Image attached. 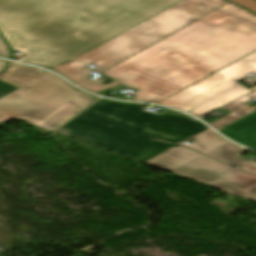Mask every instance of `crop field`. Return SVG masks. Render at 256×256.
<instances>
[{
	"label": "crop field",
	"mask_w": 256,
	"mask_h": 256,
	"mask_svg": "<svg viewBox=\"0 0 256 256\" xmlns=\"http://www.w3.org/2000/svg\"><path fill=\"white\" fill-rule=\"evenodd\" d=\"M182 0H0V32L21 61H72Z\"/></svg>",
	"instance_id": "obj_1"
},
{
	"label": "crop field",
	"mask_w": 256,
	"mask_h": 256,
	"mask_svg": "<svg viewBox=\"0 0 256 256\" xmlns=\"http://www.w3.org/2000/svg\"><path fill=\"white\" fill-rule=\"evenodd\" d=\"M254 50L256 15L230 2L103 74L156 103Z\"/></svg>",
	"instance_id": "obj_2"
},
{
	"label": "crop field",
	"mask_w": 256,
	"mask_h": 256,
	"mask_svg": "<svg viewBox=\"0 0 256 256\" xmlns=\"http://www.w3.org/2000/svg\"><path fill=\"white\" fill-rule=\"evenodd\" d=\"M206 129L172 111L156 115L142 105L101 100L56 132L143 162Z\"/></svg>",
	"instance_id": "obj_3"
},
{
	"label": "crop field",
	"mask_w": 256,
	"mask_h": 256,
	"mask_svg": "<svg viewBox=\"0 0 256 256\" xmlns=\"http://www.w3.org/2000/svg\"><path fill=\"white\" fill-rule=\"evenodd\" d=\"M9 65L0 80L19 89L0 99V127L19 119L47 135L95 100L53 74L26 65Z\"/></svg>",
	"instance_id": "obj_4"
},
{
	"label": "crop field",
	"mask_w": 256,
	"mask_h": 256,
	"mask_svg": "<svg viewBox=\"0 0 256 256\" xmlns=\"http://www.w3.org/2000/svg\"><path fill=\"white\" fill-rule=\"evenodd\" d=\"M227 0H184L120 36L90 50L78 59L50 68L76 85L91 81L92 72L86 66L93 64L96 72H104L117 63L150 47L187 24L205 16Z\"/></svg>",
	"instance_id": "obj_5"
},
{
	"label": "crop field",
	"mask_w": 256,
	"mask_h": 256,
	"mask_svg": "<svg viewBox=\"0 0 256 256\" xmlns=\"http://www.w3.org/2000/svg\"><path fill=\"white\" fill-rule=\"evenodd\" d=\"M247 72L256 73V51L157 104L174 107L187 112L219 93L239 84L236 81L247 75L245 74ZM254 82L256 83V81ZM254 89L256 87L248 90L240 84L189 113L200 117Z\"/></svg>",
	"instance_id": "obj_6"
},
{
	"label": "crop field",
	"mask_w": 256,
	"mask_h": 256,
	"mask_svg": "<svg viewBox=\"0 0 256 256\" xmlns=\"http://www.w3.org/2000/svg\"><path fill=\"white\" fill-rule=\"evenodd\" d=\"M171 172L256 202V175L241 172L204 155Z\"/></svg>",
	"instance_id": "obj_7"
},
{
	"label": "crop field",
	"mask_w": 256,
	"mask_h": 256,
	"mask_svg": "<svg viewBox=\"0 0 256 256\" xmlns=\"http://www.w3.org/2000/svg\"><path fill=\"white\" fill-rule=\"evenodd\" d=\"M226 137L256 149V112L220 130Z\"/></svg>",
	"instance_id": "obj_8"
},
{
	"label": "crop field",
	"mask_w": 256,
	"mask_h": 256,
	"mask_svg": "<svg viewBox=\"0 0 256 256\" xmlns=\"http://www.w3.org/2000/svg\"><path fill=\"white\" fill-rule=\"evenodd\" d=\"M181 146L185 144L181 143ZM202 154L188 150L183 147L172 148L163 154L157 156L156 158L147 161V164L158 167L160 169L170 171Z\"/></svg>",
	"instance_id": "obj_9"
},
{
	"label": "crop field",
	"mask_w": 256,
	"mask_h": 256,
	"mask_svg": "<svg viewBox=\"0 0 256 256\" xmlns=\"http://www.w3.org/2000/svg\"><path fill=\"white\" fill-rule=\"evenodd\" d=\"M250 99H255L256 100V90L221 107L229 112H232L212 123H210L212 126H214L215 128L219 129L253 111H255V109L247 106L246 104H244L245 102H247Z\"/></svg>",
	"instance_id": "obj_10"
},
{
	"label": "crop field",
	"mask_w": 256,
	"mask_h": 256,
	"mask_svg": "<svg viewBox=\"0 0 256 256\" xmlns=\"http://www.w3.org/2000/svg\"><path fill=\"white\" fill-rule=\"evenodd\" d=\"M245 149H241L232 143H226L204 155L209 156L219 162L231 165V166H238L245 160L237 158L242 153H244Z\"/></svg>",
	"instance_id": "obj_11"
},
{
	"label": "crop field",
	"mask_w": 256,
	"mask_h": 256,
	"mask_svg": "<svg viewBox=\"0 0 256 256\" xmlns=\"http://www.w3.org/2000/svg\"><path fill=\"white\" fill-rule=\"evenodd\" d=\"M226 142L227 141L221 139L216 134L208 130L195 137L193 142L185 147L204 154Z\"/></svg>",
	"instance_id": "obj_12"
},
{
	"label": "crop field",
	"mask_w": 256,
	"mask_h": 256,
	"mask_svg": "<svg viewBox=\"0 0 256 256\" xmlns=\"http://www.w3.org/2000/svg\"><path fill=\"white\" fill-rule=\"evenodd\" d=\"M120 83L118 82H113L107 86H104L96 81H93V82H90V83H87V84H84L82 86H80L81 88H84L90 92H93V93H96V92H100V91H103L105 89H108V88H111L113 86H116V85H119Z\"/></svg>",
	"instance_id": "obj_13"
},
{
	"label": "crop field",
	"mask_w": 256,
	"mask_h": 256,
	"mask_svg": "<svg viewBox=\"0 0 256 256\" xmlns=\"http://www.w3.org/2000/svg\"><path fill=\"white\" fill-rule=\"evenodd\" d=\"M18 88L0 81V98L17 90Z\"/></svg>",
	"instance_id": "obj_14"
},
{
	"label": "crop field",
	"mask_w": 256,
	"mask_h": 256,
	"mask_svg": "<svg viewBox=\"0 0 256 256\" xmlns=\"http://www.w3.org/2000/svg\"><path fill=\"white\" fill-rule=\"evenodd\" d=\"M248 163H251V165H248ZM241 165H242V167H237V169L242 170L244 172L256 174V164L255 163H252L250 161H245Z\"/></svg>",
	"instance_id": "obj_15"
},
{
	"label": "crop field",
	"mask_w": 256,
	"mask_h": 256,
	"mask_svg": "<svg viewBox=\"0 0 256 256\" xmlns=\"http://www.w3.org/2000/svg\"><path fill=\"white\" fill-rule=\"evenodd\" d=\"M0 57L10 58L9 50L0 37Z\"/></svg>",
	"instance_id": "obj_16"
},
{
	"label": "crop field",
	"mask_w": 256,
	"mask_h": 256,
	"mask_svg": "<svg viewBox=\"0 0 256 256\" xmlns=\"http://www.w3.org/2000/svg\"><path fill=\"white\" fill-rule=\"evenodd\" d=\"M6 64L4 61L0 60V71L3 70L6 67Z\"/></svg>",
	"instance_id": "obj_17"
}]
</instances>
